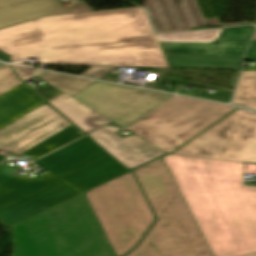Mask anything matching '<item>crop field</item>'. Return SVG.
I'll return each mask as SVG.
<instances>
[{"instance_id":"412701ff","label":"crop field","mask_w":256,"mask_h":256,"mask_svg":"<svg viewBox=\"0 0 256 256\" xmlns=\"http://www.w3.org/2000/svg\"><path fill=\"white\" fill-rule=\"evenodd\" d=\"M134 172L157 221L125 256H212L162 159Z\"/></svg>"},{"instance_id":"ae1a2a85","label":"crop field","mask_w":256,"mask_h":256,"mask_svg":"<svg viewBox=\"0 0 256 256\" xmlns=\"http://www.w3.org/2000/svg\"><path fill=\"white\" fill-rule=\"evenodd\" d=\"M0 66H1V64H0Z\"/></svg>"},{"instance_id":"730fd06b","label":"crop field","mask_w":256,"mask_h":256,"mask_svg":"<svg viewBox=\"0 0 256 256\" xmlns=\"http://www.w3.org/2000/svg\"><path fill=\"white\" fill-rule=\"evenodd\" d=\"M252 40H256V32H255L254 37H253V39H252Z\"/></svg>"},{"instance_id":"733c2abd","label":"crop field","mask_w":256,"mask_h":256,"mask_svg":"<svg viewBox=\"0 0 256 256\" xmlns=\"http://www.w3.org/2000/svg\"><path fill=\"white\" fill-rule=\"evenodd\" d=\"M39 79L45 81L71 97L94 82L93 80L75 78L50 72H47Z\"/></svg>"},{"instance_id":"ac0d7876","label":"crop field","mask_w":256,"mask_h":256,"mask_svg":"<svg viewBox=\"0 0 256 256\" xmlns=\"http://www.w3.org/2000/svg\"><path fill=\"white\" fill-rule=\"evenodd\" d=\"M163 160L213 256L256 252V186L244 185L242 162Z\"/></svg>"},{"instance_id":"22f410ed","label":"crop field","mask_w":256,"mask_h":256,"mask_svg":"<svg viewBox=\"0 0 256 256\" xmlns=\"http://www.w3.org/2000/svg\"><path fill=\"white\" fill-rule=\"evenodd\" d=\"M94 11L84 1L63 8L58 0H0V29L53 14Z\"/></svg>"},{"instance_id":"bc2a9ffb","label":"crop field","mask_w":256,"mask_h":256,"mask_svg":"<svg viewBox=\"0 0 256 256\" xmlns=\"http://www.w3.org/2000/svg\"><path fill=\"white\" fill-rule=\"evenodd\" d=\"M21 83L9 65L0 69V95Z\"/></svg>"},{"instance_id":"cbeb9de0","label":"crop field","mask_w":256,"mask_h":256,"mask_svg":"<svg viewBox=\"0 0 256 256\" xmlns=\"http://www.w3.org/2000/svg\"><path fill=\"white\" fill-rule=\"evenodd\" d=\"M48 102L86 133L110 122V120L75 101L64 93Z\"/></svg>"},{"instance_id":"f4fd0767","label":"crop field","mask_w":256,"mask_h":256,"mask_svg":"<svg viewBox=\"0 0 256 256\" xmlns=\"http://www.w3.org/2000/svg\"><path fill=\"white\" fill-rule=\"evenodd\" d=\"M85 195L116 256L134 247L155 219L131 172Z\"/></svg>"},{"instance_id":"4a817a6b","label":"crop field","mask_w":256,"mask_h":256,"mask_svg":"<svg viewBox=\"0 0 256 256\" xmlns=\"http://www.w3.org/2000/svg\"><path fill=\"white\" fill-rule=\"evenodd\" d=\"M221 29L156 35L159 42H214Z\"/></svg>"},{"instance_id":"dd49c442","label":"crop field","mask_w":256,"mask_h":256,"mask_svg":"<svg viewBox=\"0 0 256 256\" xmlns=\"http://www.w3.org/2000/svg\"><path fill=\"white\" fill-rule=\"evenodd\" d=\"M235 108L175 96L128 129L169 153Z\"/></svg>"},{"instance_id":"4177f3b9","label":"crop field","mask_w":256,"mask_h":256,"mask_svg":"<svg viewBox=\"0 0 256 256\" xmlns=\"http://www.w3.org/2000/svg\"><path fill=\"white\" fill-rule=\"evenodd\" d=\"M244 256H256V253L248 254V255H244Z\"/></svg>"},{"instance_id":"34b2d1b8","label":"crop field","mask_w":256,"mask_h":256,"mask_svg":"<svg viewBox=\"0 0 256 256\" xmlns=\"http://www.w3.org/2000/svg\"><path fill=\"white\" fill-rule=\"evenodd\" d=\"M9 229L13 256H115L84 193Z\"/></svg>"},{"instance_id":"214f88e0","label":"crop field","mask_w":256,"mask_h":256,"mask_svg":"<svg viewBox=\"0 0 256 256\" xmlns=\"http://www.w3.org/2000/svg\"><path fill=\"white\" fill-rule=\"evenodd\" d=\"M178 93L184 94V95H189V96H194V97H199V98H204V99H209V100H214V101H219V102H224V103L229 102L230 96L232 94L230 92L217 90V92L215 94L211 95V94H206L204 92V90H200V89H196L193 94L182 93V92H178Z\"/></svg>"},{"instance_id":"3316defc","label":"crop field","mask_w":256,"mask_h":256,"mask_svg":"<svg viewBox=\"0 0 256 256\" xmlns=\"http://www.w3.org/2000/svg\"><path fill=\"white\" fill-rule=\"evenodd\" d=\"M70 126L45 103L0 130V149L18 154Z\"/></svg>"},{"instance_id":"d8731c3e","label":"crop field","mask_w":256,"mask_h":256,"mask_svg":"<svg viewBox=\"0 0 256 256\" xmlns=\"http://www.w3.org/2000/svg\"><path fill=\"white\" fill-rule=\"evenodd\" d=\"M174 153L256 163V114L239 108Z\"/></svg>"},{"instance_id":"8a807250","label":"crop field","mask_w":256,"mask_h":256,"mask_svg":"<svg viewBox=\"0 0 256 256\" xmlns=\"http://www.w3.org/2000/svg\"><path fill=\"white\" fill-rule=\"evenodd\" d=\"M0 50L38 64L169 68L141 7L46 16L2 29Z\"/></svg>"},{"instance_id":"d9b57169","label":"crop field","mask_w":256,"mask_h":256,"mask_svg":"<svg viewBox=\"0 0 256 256\" xmlns=\"http://www.w3.org/2000/svg\"><path fill=\"white\" fill-rule=\"evenodd\" d=\"M231 103L256 111V72H241Z\"/></svg>"},{"instance_id":"92a150f3","label":"crop field","mask_w":256,"mask_h":256,"mask_svg":"<svg viewBox=\"0 0 256 256\" xmlns=\"http://www.w3.org/2000/svg\"><path fill=\"white\" fill-rule=\"evenodd\" d=\"M113 68L114 67L91 66L87 71L82 73L81 76L99 79Z\"/></svg>"},{"instance_id":"28ad6ade","label":"crop field","mask_w":256,"mask_h":256,"mask_svg":"<svg viewBox=\"0 0 256 256\" xmlns=\"http://www.w3.org/2000/svg\"><path fill=\"white\" fill-rule=\"evenodd\" d=\"M254 27L222 29L215 43H159L164 55L242 57Z\"/></svg>"},{"instance_id":"5142ce71","label":"crop field","mask_w":256,"mask_h":256,"mask_svg":"<svg viewBox=\"0 0 256 256\" xmlns=\"http://www.w3.org/2000/svg\"><path fill=\"white\" fill-rule=\"evenodd\" d=\"M170 68L239 70L242 58L165 56Z\"/></svg>"},{"instance_id":"d1516ede","label":"crop field","mask_w":256,"mask_h":256,"mask_svg":"<svg viewBox=\"0 0 256 256\" xmlns=\"http://www.w3.org/2000/svg\"><path fill=\"white\" fill-rule=\"evenodd\" d=\"M118 129L106 127L89 135L128 169L132 170L164 154L160 148L137 137L122 138L115 133Z\"/></svg>"},{"instance_id":"e52e79f7","label":"crop field","mask_w":256,"mask_h":256,"mask_svg":"<svg viewBox=\"0 0 256 256\" xmlns=\"http://www.w3.org/2000/svg\"><path fill=\"white\" fill-rule=\"evenodd\" d=\"M85 192L129 172L87 136L35 161Z\"/></svg>"},{"instance_id":"00972430","label":"crop field","mask_w":256,"mask_h":256,"mask_svg":"<svg viewBox=\"0 0 256 256\" xmlns=\"http://www.w3.org/2000/svg\"><path fill=\"white\" fill-rule=\"evenodd\" d=\"M244 59L256 60V41H252Z\"/></svg>"},{"instance_id":"a9b5d70f","label":"crop field","mask_w":256,"mask_h":256,"mask_svg":"<svg viewBox=\"0 0 256 256\" xmlns=\"http://www.w3.org/2000/svg\"><path fill=\"white\" fill-rule=\"evenodd\" d=\"M7 59H8V56H6V55L0 53V60L7 62Z\"/></svg>"},{"instance_id":"5a996713","label":"crop field","mask_w":256,"mask_h":256,"mask_svg":"<svg viewBox=\"0 0 256 256\" xmlns=\"http://www.w3.org/2000/svg\"><path fill=\"white\" fill-rule=\"evenodd\" d=\"M171 94L96 81L75 95V100L112 122L128 127Z\"/></svg>"},{"instance_id":"dafd665d","label":"crop field","mask_w":256,"mask_h":256,"mask_svg":"<svg viewBox=\"0 0 256 256\" xmlns=\"http://www.w3.org/2000/svg\"><path fill=\"white\" fill-rule=\"evenodd\" d=\"M12 67L14 68L16 74L18 75V77L24 82L34 76L30 75L29 73H27L26 71L22 70L21 68L12 65Z\"/></svg>"},{"instance_id":"eef30255","label":"crop field","mask_w":256,"mask_h":256,"mask_svg":"<svg viewBox=\"0 0 256 256\" xmlns=\"http://www.w3.org/2000/svg\"><path fill=\"white\" fill-rule=\"evenodd\" d=\"M3 159V157L0 156V161Z\"/></svg>"}]
</instances>
